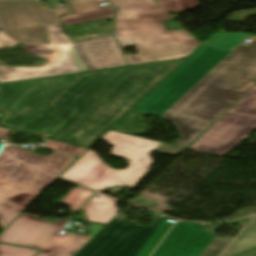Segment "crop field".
<instances>
[{
  "label": "crop field",
  "mask_w": 256,
  "mask_h": 256,
  "mask_svg": "<svg viewBox=\"0 0 256 256\" xmlns=\"http://www.w3.org/2000/svg\"><path fill=\"white\" fill-rule=\"evenodd\" d=\"M39 251L0 243V256H34Z\"/></svg>",
  "instance_id": "crop-field-21"
},
{
  "label": "crop field",
  "mask_w": 256,
  "mask_h": 256,
  "mask_svg": "<svg viewBox=\"0 0 256 256\" xmlns=\"http://www.w3.org/2000/svg\"><path fill=\"white\" fill-rule=\"evenodd\" d=\"M256 129V84L188 148L223 156Z\"/></svg>",
  "instance_id": "crop-field-7"
},
{
  "label": "crop field",
  "mask_w": 256,
  "mask_h": 256,
  "mask_svg": "<svg viewBox=\"0 0 256 256\" xmlns=\"http://www.w3.org/2000/svg\"><path fill=\"white\" fill-rule=\"evenodd\" d=\"M65 6L41 7L39 0L0 3V29L13 44H53L44 24H60L59 16L74 13Z\"/></svg>",
  "instance_id": "crop-field-6"
},
{
  "label": "crop field",
  "mask_w": 256,
  "mask_h": 256,
  "mask_svg": "<svg viewBox=\"0 0 256 256\" xmlns=\"http://www.w3.org/2000/svg\"><path fill=\"white\" fill-rule=\"evenodd\" d=\"M236 256H256V249L244 254L236 255Z\"/></svg>",
  "instance_id": "crop-field-24"
},
{
  "label": "crop field",
  "mask_w": 256,
  "mask_h": 256,
  "mask_svg": "<svg viewBox=\"0 0 256 256\" xmlns=\"http://www.w3.org/2000/svg\"><path fill=\"white\" fill-rule=\"evenodd\" d=\"M90 237L73 234V236L54 254L48 256H72Z\"/></svg>",
  "instance_id": "crop-field-18"
},
{
  "label": "crop field",
  "mask_w": 256,
  "mask_h": 256,
  "mask_svg": "<svg viewBox=\"0 0 256 256\" xmlns=\"http://www.w3.org/2000/svg\"><path fill=\"white\" fill-rule=\"evenodd\" d=\"M72 161L71 157L53 153L35 155L8 146L0 159V227L3 230Z\"/></svg>",
  "instance_id": "crop-field-5"
},
{
  "label": "crop field",
  "mask_w": 256,
  "mask_h": 256,
  "mask_svg": "<svg viewBox=\"0 0 256 256\" xmlns=\"http://www.w3.org/2000/svg\"><path fill=\"white\" fill-rule=\"evenodd\" d=\"M75 14L60 17L61 24L74 25L102 17L112 18L114 7H100L104 0H72L69 1Z\"/></svg>",
  "instance_id": "crop-field-14"
},
{
  "label": "crop field",
  "mask_w": 256,
  "mask_h": 256,
  "mask_svg": "<svg viewBox=\"0 0 256 256\" xmlns=\"http://www.w3.org/2000/svg\"><path fill=\"white\" fill-rule=\"evenodd\" d=\"M48 140V139H47ZM47 147L58 152L67 153L72 156L80 157L85 151V148H75L73 145L61 143L57 141L48 140Z\"/></svg>",
  "instance_id": "crop-field-20"
},
{
  "label": "crop field",
  "mask_w": 256,
  "mask_h": 256,
  "mask_svg": "<svg viewBox=\"0 0 256 256\" xmlns=\"http://www.w3.org/2000/svg\"><path fill=\"white\" fill-rule=\"evenodd\" d=\"M88 71L127 65L112 34L74 44Z\"/></svg>",
  "instance_id": "crop-field-12"
},
{
  "label": "crop field",
  "mask_w": 256,
  "mask_h": 256,
  "mask_svg": "<svg viewBox=\"0 0 256 256\" xmlns=\"http://www.w3.org/2000/svg\"><path fill=\"white\" fill-rule=\"evenodd\" d=\"M101 139L113 147L111 155L130 160L126 169L110 168L95 152L88 150L61 178L95 190L114 185L134 188L153 165L152 151L176 156L184 150L112 131Z\"/></svg>",
  "instance_id": "crop-field-4"
},
{
  "label": "crop field",
  "mask_w": 256,
  "mask_h": 256,
  "mask_svg": "<svg viewBox=\"0 0 256 256\" xmlns=\"http://www.w3.org/2000/svg\"><path fill=\"white\" fill-rule=\"evenodd\" d=\"M167 220L166 217L161 221L146 243L142 246L136 256H149L169 228L172 226L170 223H165Z\"/></svg>",
  "instance_id": "crop-field-16"
},
{
  "label": "crop field",
  "mask_w": 256,
  "mask_h": 256,
  "mask_svg": "<svg viewBox=\"0 0 256 256\" xmlns=\"http://www.w3.org/2000/svg\"><path fill=\"white\" fill-rule=\"evenodd\" d=\"M181 62L0 84V126L88 148Z\"/></svg>",
  "instance_id": "crop-field-1"
},
{
  "label": "crop field",
  "mask_w": 256,
  "mask_h": 256,
  "mask_svg": "<svg viewBox=\"0 0 256 256\" xmlns=\"http://www.w3.org/2000/svg\"><path fill=\"white\" fill-rule=\"evenodd\" d=\"M245 37L214 34L132 110L174 122L186 148L256 82V39L240 45Z\"/></svg>",
  "instance_id": "crop-field-2"
},
{
  "label": "crop field",
  "mask_w": 256,
  "mask_h": 256,
  "mask_svg": "<svg viewBox=\"0 0 256 256\" xmlns=\"http://www.w3.org/2000/svg\"><path fill=\"white\" fill-rule=\"evenodd\" d=\"M164 216L155 213L151 223L113 218L75 256H134Z\"/></svg>",
  "instance_id": "crop-field-8"
},
{
  "label": "crop field",
  "mask_w": 256,
  "mask_h": 256,
  "mask_svg": "<svg viewBox=\"0 0 256 256\" xmlns=\"http://www.w3.org/2000/svg\"><path fill=\"white\" fill-rule=\"evenodd\" d=\"M9 133H10V131H6V130H3V129H0V140L1 139H5L6 140Z\"/></svg>",
  "instance_id": "crop-field-23"
},
{
  "label": "crop field",
  "mask_w": 256,
  "mask_h": 256,
  "mask_svg": "<svg viewBox=\"0 0 256 256\" xmlns=\"http://www.w3.org/2000/svg\"><path fill=\"white\" fill-rule=\"evenodd\" d=\"M54 45H26L25 51L48 59L43 67L8 68L0 65V82L30 79L75 72L60 45L71 44L68 37L63 36L60 25H45ZM10 39H4L0 32V50L15 47Z\"/></svg>",
  "instance_id": "crop-field-9"
},
{
  "label": "crop field",
  "mask_w": 256,
  "mask_h": 256,
  "mask_svg": "<svg viewBox=\"0 0 256 256\" xmlns=\"http://www.w3.org/2000/svg\"><path fill=\"white\" fill-rule=\"evenodd\" d=\"M202 226L178 222L152 256H199L215 236Z\"/></svg>",
  "instance_id": "crop-field-11"
},
{
  "label": "crop field",
  "mask_w": 256,
  "mask_h": 256,
  "mask_svg": "<svg viewBox=\"0 0 256 256\" xmlns=\"http://www.w3.org/2000/svg\"><path fill=\"white\" fill-rule=\"evenodd\" d=\"M76 72L87 71L73 45L62 46Z\"/></svg>",
  "instance_id": "crop-field-22"
},
{
  "label": "crop field",
  "mask_w": 256,
  "mask_h": 256,
  "mask_svg": "<svg viewBox=\"0 0 256 256\" xmlns=\"http://www.w3.org/2000/svg\"><path fill=\"white\" fill-rule=\"evenodd\" d=\"M67 221L62 219L52 223L23 213L0 235V242L38 249L41 252L37 256H46L71 236L66 232L58 235Z\"/></svg>",
  "instance_id": "crop-field-10"
},
{
  "label": "crop field",
  "mask_w": 256,
  "mask_h": 256,
  "mask_svg": "<svg viewBox=\"0 0 256 256\" xmlns=\"http://www.w3.org/2000/svg\"><path fill=\"white\" fill-rule=\"evenodd\" d=\"M256 247V226H244L235 238H215L200 256H232Z\"/></svg>",
  "instance_id": "crop-field-13"
},
{
  "label": "crop field",
  "mask_w": 256,
  "mask_h": 256,
  "mask_svg": "<svg viewBox=\"0 0 256 256\" xmlns=\"http://www.w3.org/2000/svg\"><path fill=\"white\" fill-rule=\"evenodd\" d=\"M92 193L93 192L89 190L78 187L77 189L70 190L60 204L66 205L71 211L77 212L89 199Z\"/></svg>",
  "instance_id": "crop-field-17"
},
{
  "label": "crop field",
  "mask_w": 256,
  "mask_h": 256,
  "mask_svg": "<svg viewBox=\"0 0 256 256\" xmlns=\"http://www.w3.org/2000/svg\"><path fill=\"white\" fill-rule=\"evenodd\" d=\"M156 2L161 5L168 13L195 9L199 6L197 0H156Z\"/></svg>",
  "instance_id": "crop-field-19"
},
{
  "label": "crop field",
  "mask_w": 256,
  "mask_h": 256,
  "mask_svg": "<svg viewBox=\"0 0 256 256\" xmlns=\"http://www.w3.org/2000/svg\"><path fill=\"white\" fill-rule=\"evenodd\" d=\"M116 199L97 194L84 208L88 221L106 224L121 209L116 208Z\"/></svg>",
  "instance_id": "crop-field-15"
},
{
  "label": "crop field",
  "mask_w": 256,
  "mask_h": 256,
  "mask_svg": "<svg viewBox=\"0 0 256 256\" xmlns=\"http://www.w3.org/2000/svg\"><path fill=\"white\" fill-rule=\"evenodd\" d=\"M109 2L118 7L114 29L118 43L121 48L134 46L138 52L124 54L129 65L187 57L199 46L183 29L166 32L161 21L173 18L153 0Z\"/></svg>",
  "instance_id": "crop-field-3"
}]
</instances>
